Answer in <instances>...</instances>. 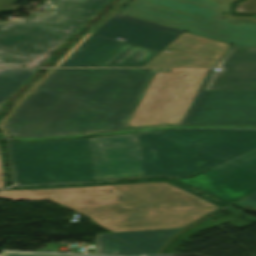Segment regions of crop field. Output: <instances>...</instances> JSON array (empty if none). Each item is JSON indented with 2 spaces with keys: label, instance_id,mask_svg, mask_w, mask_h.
<instances>
[{
  "label": "crop field",
  "instance_id": "5a996713",
  "mask_svg": "<svg viewBox=\"0 0 256 256\" xmlns=\"http://www.w3.org/2000/svg\"><path fill=\"white\" fill-rule=\"evenodd\" d=\"M205 90H256V49L231 45Z\"/></svg>",
  "mask_w": 256,
  "mask_h": 256
},
{
  "label": "crop field",
  "instance_id": "28ad6ade",
  "mask_svg": "<svg viewBox=\"0 0 256 256\" xmlns=\"http://www.w3.org/2000/svg\"><path fill=\"white\" fill-rule=\"evenodd\" d=\"M168 47L220 60L230 45L184 32Z\"/></svg>",
  "mask_w": 256,
  "mask_h": 256
},
{
  "label": "crop field",
  "instance_id": "412701ff",
  "mask_svg": "<svg viewBox=\"0 0 256 256\" xmlns=\"http://www.w3.org/2000/svg\"><path fill=\"white\" fill-rule=\"evenodd\" d=\"M183 32L116 13L59 67H141Z\"/></svg>",
  "mask_w": 256,
  "mask_h": 256
},
{
  "label": "crop field",
  "instance_id": "3316defc",
  "mask_svg": "<svg viewBox=\"0 0 256 256\" xmlns=\"http://www.w3.org/2000/svg\"><path fill=\"white\" fill-rule=\"evenodd\" d=\"M180 230L181 229L98 234L94 240L97 245L96 254H156L166 240Z\"/></svg>",
  "mask_w": 256,
  "mask_h": 256
},
{
  "label": "crop field",
  "instance_id": "ac0d7876",
  "mask_svg": "<svg viewBox=\"0 0 256 256\" xmlns=\"http://www.w3.org/2000/svg\"><path fill=\"white\" fill-rule=\"evenodd\" d=\"M152 71L46 69L4 111L0 130L9 138L120 131Z\"/></svg>",
  "mask_w": 256,
  "mask_h": 256
},
{
  "label": "crop field",
  "instance_id": "5142ce71",
  "mask_svg": "<svg viewBox=\"0 0 256 256\" xmlns=\"http://www.w3.org/2000/svg\"><path fill=\"white\" fill-rule=\"evenodd\" d=\"M129 0H121L117 3L109 12H107L100 20H98L86 33L93 34L103 23H105L110 17H112L123 5Z\"/></svg>",
  "mask_w": 256,
  "mask_h": 256
},
{
  "label": "crop field",
  "instance_id": "dafd665d",
  "mask_svg": "<svg viewBox=\"0 0 256 256\" xmlns=\"http://www.w3.org/2000/svg\"><path fill=\"white\" fill-rule=\"evenodd\" d=\"M199 90V89H198ZM198 92V91H197ZM191 103V102H190ZM190 105V104H189ZM189 107V106H188ZM187 107V108H188ZM187 110V109H186ZM186 110H185V112H186ZM185 112H184V114H185ZM184 114L182 115V117L180 118V120H179V122H178V124H177V126H179V124H180V122H181V120H182V118H183V116H184Z\"/></svg>",
  "mask_w": 256,
  "mask_h": 256
},
{
  "label": "crop field",
  "instance_id": "92a150f3",
  "mask_svg": "<svg viewBox=\"0 0 256 256\" xmlns=\"http://www.w3.org/2000/svg\"><path fill=\"white\" fill-rule=\"evenodd\" d=\"M133 3L134 2H128L126 7L124 9L119 10L118 13L123 14L126 10H128L132 6Z\"/></svg>",
  "mask_w": 256,
  "mask_h": 256
},
{
  "label": "crop field",
  "instance_id": "4a817a6b",
  "mask_svg": "<svg viewBox=\"0 0 256 256\" xmlns=\"http://www.w3.org/2000/svg\"><path fill=\"white\" fill-rule=\"evenodd\" d=\"M60 47H61V46H60ZM60 47L55 48V49H53V50H51V51L45 53L44 55L38 57L37 59H35V60H33V61H31V62H29V63L23 65V66H37V65L42 64V63L45 62L48 58H50V57L53 55V53H54L56 50H58ZM40 66H41V65H40Z\"/></svg>",
  "mask_w": 256,
  "mask_h": 256
},
{
  "label": "crop field",
  "instance_id": "214f88e0",
  "mask_svg": "<svg viewBox=\"0 0 256 256\" xmlns=\"http://www.w3.org/2000/svg\"><path fill=\"white\" fill-rule=\"evenodd\" d=\"M6 187L5 181H4V175H3V169H2V163L0 158V188Z\"/></svg>",
  "mask_w": 256,
  "mask_h": 256
},
{
  "label": "crop field",
  "instance_id": "d9b57169",
  "mask_svg": "<svg viewBox=\"0 0 256 256\" xmlns=\"http://www.w3.org/2000/svg\"><path fill=\"white\" fill-rule=\"evenodd\" d=\"M235 12L256 14V0H246L234 8Z\"/></svg>",
  "mask_w": 256,
  "mask_h": 256
},
{
  "label": "crop field",
  "instance_id": "d1516ede",
  "mask_svg": "<svg viewBox=\"0 0 256 256\" xmlns=\"http://www.w3.org/2000/svg\"><path fill=\"white\" fill-rule=\"evenodd\" d=\"M162 51L143 67H214L217 60L173 50Z\"/></svg>",
  "mask_w": 256,
  "mask_h": 256
},
{
  "label": "crop field",
  "instance_id": "22f410ed",
  "mask_svg": "<svg viewBox=\"0 0 256 256\" xmlns=\"http://www.w3.org/2000/svg\"><path fill=\"white\" fill-rule=\"evenodd\" d=\"M38 69H0V105Z\"/></svg>",
  "mask_w": 256,
  "mask_h": 256
},
{
  "label": "crop field",
  "instance_id": "00972430",
  "mask_svg": "<svg viewBox=\"0 0 256 256\" xmlns=\"http://www.w3.org/2000/svg\"><path fill=\"white\" fill-rule=\"evenodd\" d=\"M0 256H1V254H0Z\"/></svg>",
  "mask_w": 256,
  "mask_h": 256
},
{
  "label": "crop field",
  "instance_id": "dd49c442",
  "mask_svg": "<svg viewBox=\"0 0 256 256\" xmlns=\"http://www.w3.org/2000/svg\"><path fill=\"white\" fill-rule=\"evenodd\" d=\"M234 1L137 0L125 15L228 44L256 47V19L231 15L229 6ZM223 10L226 15L220 14Z\"/></svg>",
  "mask_w": 256,
  "mask_h": 256
},
{
  "label": "crop field",
  "instance_id": "8a807250",
  "mask_svg": "<svg viewBox=\"0 0 256 256\" xmlns=\"http://www.w3.org/2000/svg\"><path fill=\"white\" fill-rule=\"evenodd\" d=\"M156 133L161 135L144 132L10 143L15 184L146 175L183 177L256 148V129H171Z\"/></svg>",
  "mask_w": 256,
  "mask_h": 256
},
{
  "label": "crop field",
  "instance_id": "d8731c3e",
  "mask_svg": "<svg viewBox=\"0 0 256 256\" xmlns=\"http://www.w3.org/2000/svg\"><path fill=\"white\" fill-rule=\"evenodd\" d=\"M176 180L230 204L256 192V149L194 178Z\"/></svg>",
  "mask_w": 256,
  "mask_h": 256
},
{
  "label": "crop field",
  "instance_id": "733c2abd",
  "mask_svg": "<svg viewBox=\"0 0 256 256\" xmlns=\"http://www.w3.org/2000/svg\"><path fill=\"white\" fill-rule=\"evenodd\" d=\"M2 256H88V255H67V254H47V253H15L2 252Z\"/></svg>",
  "mask_w": 256,
  "mask_h": 256
},
{
  "label": "crop field",
  "instance_id": "e52e79f7",
  "mask_svg": "<svg viewBox=\"0 0 256 256\" xmlns=\"http://www.w3.org/2000/svg\"><path fill=\"white\" fill-rule=\"evenodd\" d=\"M211 70L180 126L256 125V91H203Z\"/></svg>",
  "mask_w": 256,
  "mask_h": 256
},
{
  "label": "crop field",
  "instance_id": "bc2a9ffb",
  "mask_svg": "<svg viewBox=\"0 0 256 256\" xmlns=\"http://www.w3.org/2000/svg\"><path fill=\"white\" fill-rule=\"evenodd\" d=\"M16 0H0V12L17 10V7L11 6ZM0 22H3L0 20Z\"/></svg>",
  "mask_w": 256,
  "mask_h": 256
},
{
  "label": "crop field",
  "instance_id": "34b2d1b8",
  "mask_svg": "<svg viewBox=\"0 0 256 256\" xmlns=\"http://www.w3.org/2000/svg\"><path fill=\"white\" fill-rule=\"evenodd\" d=\"M0 198L49 199L111 232L184 228L221 209L163 181L0 190Z\"/></svg>",
  "mask_w": 256,
  "mask_h": 256
},
{
  "label": "crop field",
  "instance_id": "cbeb9de0",
  "mask_svg": "<svg viewBox=\"0 0 256 256\" xmlns=\"http://www.w3.org/2000/svg\"><path fill=\"white\" fill-rule=\"evenodd\" d=\"M231 205L247 212H256V193H253Z\"/></svg>",
  "mask_w": 256,
  "mask_h": 256
},
{
  "label": "crop field",
  "instance_id": "f4fd0767",
  "mask_svg": "<svg viewBox=\"0 0 256 256\" xmlns=\"http://www.w3.org/2000/svg\"><path fill=\"white\" fill-rule=\"evenodd\" d=\"M110 0H47L46 13L0 24V66H21L58 47Z\"/></svg>",
  "mask_w": 256,
  "mask_h": 256
}]
</instances>
